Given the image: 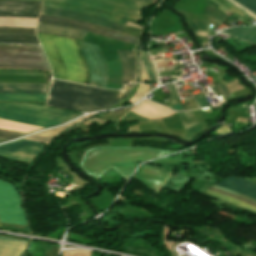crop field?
Segmentation results:
<instances>
[{"label":"crop field","mask_w":256,"mask_h":256,"mask_svg":"<svg viewBox=\"0 0 256 256\" xmlns=\"http://www.w3.org/2000/svg\"><path fill=\"white\" fill-rule=\"evenodd\" d=\"M167 152L145 148L99 147L87 151L82 167L93 178L99 180L103 172L113 167L126 180L138 165L137 162L166 155Z\"/></svg>","instance_id":"8a807250"},{"label":"crop field","mask_w":256,"mask_h":256,"mask_svg":"<svg viewBox=\"0 0 256 256\" xmlns=\"http://www.w3.org/2000/svg\"><path fill=\"white\" fill-rule=\"evenodd\" d=\"M46 95L0 94V101L44 102Z\"/></svg>","instance_id":"dafd665d"},{"label":"crop field","mask_w":256,"mask_h":256,"mask_svg":"<svg viewBox=\"0 0 256 256\" xmlns=\"http://www.w3.org/2000/svg\"><path fill=\"white\" fill-rule=\"evenodd\" d=\"M40 14L74 19V20H80V21L91 23V24L99 25L102 27H106L109 29L117 30L120 32H122L123 28L125 27L124 24H120V23L113 22L110 20L102 19L99 17H95V16L83 14V13L51 9V8H45V7H42Z\"/></svg>","instance_id":"28ad6ade"},{"label":"crop field","mask_w":256,"mask_h":256,"mask_svg":"<svg viewBox=\"0 0 256 256\" xmlns=\"http://www.w3.org/2000/svg\"><path fill=\"white\" fill-rule=\"evenodd\" d=\"M191 29L208 31L209 23L207 20L187 21ZM187 23V24H188Z\"/></svg>","instance_id":"ae1a2a85"},{"label":"crop field","mask_w":256,"mask_h":256,"mask_svg":"<svg viewBox=\"0 0 256 256\" xmlns=\"http://www.w3.org/2000/svg\"><path fill=\"white\" fill-rule=\"evenodd\" d=\"M53 69V78L87 83V68L72 39L36 33Z\"/></svg>","instance_id":"ac0d7876"},{"label":"crop field","mask_w":256,"mask_h":256,"mask_svg":"<svg viewBox=\"0 0 256 256\" xmlns=\"http://www.w3.org/2000/svg\"><path fill=\"white\" fill-rule=\"evenodd\" d=\"M202 131H204V128L201 125H199V124L196 125L193 128H190V129L186 130L185 131L186 140H191L192 138L197 136Z\"/></svg>","instance_id":"d3111659"},{"label":"crop field","mask_w":256,"mask_h":256,"mask_svg":"<svg viewBox=\"0 0 256 256\" xmlns=\"http://www.w3.org/2000/svg\"><path fill=\"white\" fill-rule=\"evenodd\" d=\"M78 43L89 68L90 79L88 85L105 88L106 66L98 47L81 41H78Z\"/></svg>","instance_id":"d8731c3e"},{"label":"crop field","mask_w":256,"mask_h":256,"mask_svg":"<svg viewBox=\"0 0 256 256\" xmlns=\"http://www.w3.org/2000/svg\"><path fill=\"white\" fill-rule=\"evenodd\" d=\"M19 194L12 184L0 180V221L26 225Z\"/></svg>","instance_id":"dd49c442"},{"label":"crop field","mask_w":256,"mask_h":256,"mask_svg":"<svg viewBox=\"0 0 256 256\" xmlns=\"http://www.w3.org/2000/svg\"><path fill=\"white\" fill-rule=\"evenodd\" d=\"M42 150V144L21 139L0 146V155L30 163Z\"/></svg>","instance_id":"3316defc"},{"label":"crop field","mask_w":256,"mask_h":256,"mask_svg":"<svg viewBox=\"0 0 256 256\" xmlns=\"http://www.w3.org/2000/svg\"><path fill=\"white\" fill-rule=\"evenodd\" d=\"M208 189H211V190H214V191H216V192H219V193H222V194H225V195L231 196V197H233V198H236V199L242 200V201H244V202H247V203H249V204H252V205L256 206V204H254V203H252V202L246 201V200H244V199H241V198H239V197H236V196H234V195H232V194H229V193H227V192H224V191H221V190H218V189L212 188V187H209Z\"/></svg>","instance_id":"028f5c9d"},{"label":"crop field","mask_w":256,"mask_h":256,"mask_svg":"<svg viewBox=\"0 0 256 256\" xmlns=\"http://www.w3.org/2000/svg\"><path fill=\"white\" fill-rule=\"evenodd\" d=\"M84 119H86V118L83 117V118L78 119V120H76L73 123H69V124H67V125H65L63 127L51 129V130H48V131H44V132H41V133H38V134H35V135H32V136H29V137H27L25 139L37 141V142L44 143V144L48 145L52 141L53 138L58 136L66 128H68L69 126H71V125H73V124H75L77 122H80V121H82Z\"/></svg>","instance_id":"bc2a9ffb"},{"label":"crop field","mask_w":256,"mask_h":256,"mask_svg":"<svg viewBox=\"0 0 256 256\" xmlns=\"http://www.w3.org/2000/svg\"><path fill=\"white\" fill-rule=\"evenodd\" d=\"M0 118L17 121V122H22V123H27V124H32V125H37V126H42V127L59 124V123L39 120V119H35V118H30V117H25V116H20V115L5 113V112H0Z\"/></svg>","instance_id":"214f88e0"},{"label":"crop field","mask_w":256,"mask_h":256,"mask_svg":"<svg viewBox=\"0 0 256 256\" xmlns=\"http://www.w3.org/2000/svg\"><path fill=\"white\" fill-rule=\"evenodd\" d=\"M34 30L28 28L0 27V34L35 35Z\"/></svg>","instance_id":"730fd06b"},{"label":"crop field","mask_w":256,"mask_h":256,"mask_svg":"<svg viewBox=\"0 0 256 256\" xmlns=\"http://www.w3.org/2000/svg\"><path fill=\"white\" fill-rule=\"evenodd\" d=\"M45 84L0 83V93L46 94Z\"/></svg>","instance_id":"5142ce71"},{"label":"crop field","mask_w":256,"mask_h":256,"mask_svg":"<svg viewBox=\"0 0 256 256\" xmlns=\"http://www.w3.org/2000/svg\"><path fill=\"white\" fill-rule=\"evenodd\" d=\"M36 31L50 33V34H56V35H62V36H68V37H73V38H77V39H83L84 35L86 34V31H82V30H76V29L41 24V23L38 24Z\"/></svg>","instance_id":"4a817a6b"},{"label":"crop field","mask_w":256,"mask_h":256,"mask_svg":"<svg viewBox=\"0 0 256 256\" xmlns=\"http://www.w3.org/2000/svg\"><path fill=\"white\" fill-rule=\"evenodd\" d=\"M1 228V227H0Z\"/></svg>","instance_id":"c21b1889"},{"label":"crop field","mask_w":256,"mask_h":256,"mask_svg":"<svg viewBox=\"0 0 256 256\" xmlns=\"http://www.w3.org/2000/svg\"><path fill=\"white\" fill-rule=\"evenodd\" d=\"M41 2L0 0V16L37 18Z\"/></svg>","instance_id":"d1516ede"},{"label":"crop field","mask_w":256,"mask_h":256,"mask_svg":"<svg viewBox=\"0 0 256 256\" xmlns=\"http://www.w3.org/2000/svg\"><path fill=\"white\" fill-rule=\"evenodd\" d=\"M140 76H141V82L148 81L146 71H145V68H144L142 62H141V74H140Z\"/></svg>","instance_id":"0bd39190"},{"label":"crop field","mask_w":256,"mask_h":256,"mask_svg":"<svg viewBox=\"0 0 256 256\" xmlns=\"http://www.w3.org/2000/svg\"><path fill=\"white\" fill-rule=\"evenodd\" d=\"M2 141H6V140L0 139V142H2Z\"/></svg>","instance_id":"c035e120"},{"label":"crop field","mask_w":256,"mask_h":256,"mask_svg":"<svg viewBox=\"0 0 256 256\" xmlns=\"http://www.w3.org/2000/svg\"><path fill=\"white\" fill-rule=\"evenodd\" d=\"M0 111L64 123L76 114L33 104H0Z\"/></svg>","instance_id":"e52e79f7"},{"label":"crop field","mask_w":256,"mask_h":256,"mask_svg":"<svg viewBox=\"0 0 256 256\" xmlns=\"http://www.w3.org/2000/svg\"><path fill=\"white\" fill-rule=\"evenodd\" d=\"M22 135L23 134L0 130V138L7 139V140H11Z\"/></svg>","instance_id":"120bbe31"},{"label":"crop field","mask_w":256,"mask_h":256,"mask_svg":"<svg viewBox=\"0 0 256 256\" xmlns=\"http://www.w3.org/2000/svg\"><path fill=\"white\" fill-rule=\"evenodd\" d=\"M118 95L52 80L47 105L71 111H98L117 101Z\"/></svg>","instance_id":"34b2d1b8"},{"label":"crop field","mask_w":256,"mask_h":256,"mask_svg":"<svg viewBox=\"0 0 256 256\" xmlns=\"http://www.w3.org/2000/svg\"><path fill=\"white\" fill-rule=\"evenodd\" d=\"M140 1H144V2H147V3H151L153 2V0H140Z\"/></svg>","instance_id":"b80d0937"},{"label":"crop field","mask_w":256,"mask_h":256,"mask_svg":"<svg viewBox=\"0 0 256 256\" xmlns=\"http://www.w3.org/2000/svg\"><path fill=\"white\" fill-rule=\"evenodd\" d=\"M42 6L51 7V8H58V9H64V10L77 11V12H83V13H87V14L103 17V18H106V19L114 20V21H117V22L126 23V20H122V19L115 18V17L109 16V15H105V14H102V13H98V12H94V11H89V10H85V9L72 8V7L59 6V5H52V4H46V3H43Z\"/></svg>","instance_id":"a9b5d70f"},{"label":"crop field","mask_w":256,"mask_h":256,"mask_svg":"<svg viewBox=\"0 0 256 256\" xmlns=\"http://www.w3.org/2000/svg\"><path fill=\"white\" fill-rule=\"evenodd\" d=\"M216 185L256 199V184L245 179H236L232 176L223 183Z\"/></svg>","instance_id":"cbeb9de0"},{"label":"crop field","mask_w":256,"mask_h":256,"mask_svg":"<svg viewBox=\"0 0 256 256\" xmlns=\"http://www.w3.org/2000/svg\"><path fill=\"white\" fill-rule=\"evenodd\" d=\"M212 187H215V188H218V189H221V190L227 191V192L232 193V194H234V195H236V196H239V197H241V198H244V199H247V200H249V201H252V202H255V203H256V200H253V199L248 198V197H246V196H243V195H240V194L234 193V192H232V191L226 190V189L221 188V187H218V186H216V185H213Z\"/></svg>","instance_id":"e1f06a70"},{"label":"crop field","mask_w":256,"mask_h":256,"mask_svg":"<svg viewBox=\"0 0 256 256\" xmlns=\"http://www.w3.org/2000/svg\"><path fill=\"white\" fill-rule=\"evenodd\" d=\"M203 193H206V194H209V195H212V196H215V197H218L224 201H227V202H230L232 204H235V205H238L240 207H243L245 209H248V210H251L253 212H256V208L255 207H252L242 201H239V200H236V199H233L231 197H228V196H225V195H222V194H219V193H216L214 191H211V190H208L206 189L205 191H203Z\"/></svg>","instance_id":"4177f3b9"},{"label":"crop field","mask_w":256,"mask_h":256,"mask_svg":"<svg viewBox=\"0 0 256 256\" xmlns=\"http://www.w3.org/2000/svg\"><path fill=\"white\" fill-rule=\"evenodd\" d=\"M256 14V0H236Z\"/></svg>","instance_id":"1d83c4d3"},{"label":"crop field","mask_w":256,"mask_h":256,"mask_svg":"<svg viewBox=\"0 0 256 256\" xmlns=\"http://www.w3.org/2000/svg\"><path fill=\"white\" fill-rule=\"evenodd\" d=\"M42 127L7 121L0 119V129L14 131L18 133L27 134L32 131H36Z\"/></svg>","instance_id":"92a150f3"},{"label":"crop field","mask_w":256,"mask_h":256,"mask_svg":"<svg viewBox=\"0 0 256 256\" xmlns=\"http://www.w3.org/2000/svg\"><path fill=\"white\" fill-rule=\"evenodd\" d=\"M0 68L50 71L40 47L0 46Z\"/></svg>","instance_id":"f4fd0767"},{"label":"crop field","mask_w":256,"mask_h":256,"mask_svg":"<svg viewBox=\"0 0 256 256\" xmlns=\"http://www.w3.org/2000/svg\"><path fill=\"white\" fill-rule=\"evenodd\" d=\"M121 65H122V73H123V82L132 80L135 75L136 70V58L132 51H124V50H117Z\"/></svg>","instance_id":"733c2abd"},{"label":"crop field","mask_w":256,"mask_h":256,"mask_svg":"<svg viewBox=\"0 0 256 256\" xmlns=\"http://www.w3.org/2000/svg\"><path fill=\"white\" fill-rule=\"evenodd\" d=\"M39 22L41 23H47V24H53V25H59V26H65V27H71L76 29H82L86 31H90L96 34H100L103 36H107L110 38H114L120 41H124L130 44H135L137 37L116 32L113 30H109L106 28L98 27L95 25L74 21V20H68V19H62V18H55V17H49V16H43L40 15Z\"/></svg>","instance_id":"5a996713"},{"label":"crop field","mask_w":256,"mask_h":256,"mask_svg":"<svg viewBox=\"0 0 256 256\" xmlns=\"http://www.w3.org/2000/svg\"><path fill=\"white\" fill-rule=\"evenodd\" d=\"M0 75H44L36 72L28 71H0Z\"/></svg>","instance_id":"bd1437ed"},{"label":"crop field","mask_w":256,"mask_h":256,"mask_svg":"<svg viewBox=\"0 0 256 256\" xmlns=\"http://www.w3.org/2000/svg\"><path fill=\"white\" fill-rule=\"evenodd\" d=\"M28 241L8 239L0 235V256H20Z\"/></svg>","instance_id":"d9b57169"},{"label":"crop field","mask_w":256,"mask_h":256,"mask_svg":"<svg viewBox=\"0 0 256 256\" xmlns=\"http://www.w3.org/2000/svg\"><path fill=\"white\" fill-rule=\"evenodd\" d=\"M147 85L140 84L138 91L134 94L129 102L132 104L142 98L146 92Z\"/></svg>","instance_id":"750c4746"},{"label":"crop field","mask_w":256,"mask_h":256,"mask_svg":"<svg viewBox=\"0 0 256 256\" xmlns=\"http://www.w3.org/2000/svg\"><path fill=\"white\" fill-rule=\"evenodd\" d=\"M196 101L198 102L199 106L200 107H203V106H207L208 103L205 101L202 93H199V94H196V97H195Z\"/></svg>","instance_id":"5866460e"},{"label":"crop field","mask_w":256,"mask_h":256,"mask_svg":"<svg viewBox=\"0 0 256 256\" xmlns=\"http://www.w3.org/2000/svg\"><path fill=\"white\" fill-rule=\"evenodd\" d=\"M86 7L139 22V11L150 4L137 0H34Z\"/></svg>","instance_id":"412701ff"},{"label":"crop field","mask_w":256,"mask_h":256,"mask_svg":"<svg viewBox=\"0 0 256 256\" xmlns=\"http://www.w3.org/2000/svg\"><path fill=\"white\" fill-rule=\"evenodd\" d=\"M179 114H180L184 129L190 128V127L198 124L192 111L182 112Z\"/></svg>","instance_id":"eef30255"},{"label":"crop field","mask_w":256,"mask_h":256,"mask_svg":"<svg viewBox=\"0 0 256 256\" xmlns=\"http://www.w3.org/2000/svg\"><path fill=\"white\" fill-rule=\"evenodd\" d=\"M170 175L171 173L161 169L143 165L137 170L133 177L142 181L150 189L157 192Z\"/></svg>","instance_id":"22f410ed"},{"label":"crop field","mask_w":256,"mask_h":256,"mask_svg":"<svg viewBox=\"0 0 256 256\" xmlns=\"http://www.w3.org/2000/svg\"><path fill=\"white\" fill-rule=\"evenodd\" d=\"M0 43L39 44L36 36L0 35Z\"/></svg>","instance_id":"00972430"},{"label":"crop field","mask_w":256,"mask_h":256,"mask_svg":"<svg viewBox=\"0 0 256 256\" xmlns=\"http://www.w3.org/2000/svg\"><path fill=\"white\" fill-rule=\"evenodd\" d=\"M167 86L170 91L171 101L177 102L178 95H177L176 89L174 87V84L173 83L168 84Z\"/></svg>","instance_id":"d32e631a"}]
</instances>
